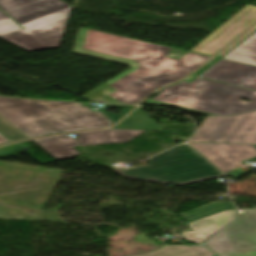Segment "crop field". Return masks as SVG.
<instances>
[{
	"label": "crop field",
	"instance_id": "crop-field-3",
	"mask_svg": "<svg viewBox=\"0 0 256 256\" xmlns=\"http://www.w3.org/2000/svg\"><path fill=\"white\" fill-rule=\"evenodd\" d=\"M0 114L29 138L112 125L101 112L60 101L0 97Z\"/></svg>",
	"mask_w": 256,
	"mask_h": 256
},
{
	"label": "crop field",
	"instance_id": "crop-field-16",
	"mask_svg": "<svg viewBox=\"0 0 256 256\" xmlns=\"http://www.w3.org/2000/svg\"><path fill=\"white\" fill-rule=\"evenodd\" d=\"M0 132L13 141L28 139L21 131L0 115Z\"/></svg>",
	"mask_w": 256,
	"mask_h": 256
},
{
	"label": "crop field",
	"instance_id": "crop-field-23",
	"mask_svg": "<svg viewBox=\"0 0 256 256\" xmlns=\"http://www.w3.org/2000/svg\"><path fill=\"white\" fill-rule=\"evenodd\" d=\"M10 141H8L6 138H4L2 135H0V144H4V143H9Z\"/></svg>",
	"mask_w": 256,
	"mask_h": 256
},
{
	"label": "crop field",
	"instance_id": "crop-field-18",
	"mask_svg": "<svg viewBox=\"0 0 256 256\" xmlns=\"http://www.w3.org/2000/svg\"><path fill=\"white\" fill-rule=\"evenodd\" d=\"M256 31V27H254L252 30H250L248 33H246L244 36H242L239 40H237L235 43H233L230 47H228L225 51H223L221 54H219L220 56H223L224 54H226L229 50H231L234 46H236L239 42H241L243 39H245L246 37H248L249 35H251L252 33H254Z\"/></svg>",
	"mask_w": 256,
	"mask_h": 256
},
{
	"label": "crop field",
	"instance_id": "crop-field-12",
	"mask_svg": "<svg viewBox=\"0 0 256 256\" xmlns=\"http://www.w3.org/2000/svg\"><path fill=\"white\" fill-rule=\"evenodd\" d=\"M236 210H228L207 218H203L188 223L193 231L182 233L188 241L202 243L210 235L232 222L235 218Z\"/></svg>",
	"mask_w": 256,
	"mask_h": 256
},
{
	"label": "crop field",
	"instance_id": "crop-field-9",
	"mask_svg": "<svg viewBox=\"0 0 256 256\" xmlns=\"http://www.w3.org/2000/svg\"><path fill=\"white\" fill-rule=\"evenodd\" d=\"M256 22V7L246 6L196 45L191 52L212 56Z\"/></svg>",
	"mask_w": 256,
	"mask_h": 256
},
{
	"label": "crop field",
	"instance_id": "crop-field-11",
	"mask_svg": "<svg viewBox=\"0 0 256 256\" xmlns=\"http://www.w3.org/2000/svg\"><path fill=\"white\" fill-rule=\"evenodd\" d=\"M199 77L256 90V67L220 59Z\"/></svg>",
	"mask_w": 256,
	"mask_h": 256
},
{
	"label": "crop field",
	"instance_id": "crop-field-10",
	"mask_svg": "<svg viewBox=\"0 0 256 256\" xmlns=\"http://www.w3.org/2000/svg\"><path fill=\"white\" fill-rule=\"evenodd\" d=\"M190 146L222 172L242 165L241 161L246 159L256 161V145L202 143Z\"/></svg>",
	"mask_w": 256,
	"mask_h": 256
},
{
	"label": "crop field",
	"instance_id": "crop-field-20",
	"mask_svg": "<svg viewBox=\"0 0 256 256\" xmlns=\"http://www.w3.org/2000/svg\"><path fill=\"white\" fill-rule=\"evenodd\" d=\"M216 60H218V58L213 59L211 62H209L208 64H206L204 67H202L198 72L194 73L193 75L189 76L188 78H186L185 80H189L191 81L195 76H197L199 73H201L203 70H205L207 67H209L212 63H214Z\"/></svg>",
	"mask_w": 256,
	"mask_h": 256
},
{
	"label": "crop field",
	"instance_id": "crop-field-14",
	"mask_svg": "<svg viewBox=\"0 0 256 256\" xmlns=\"http://www.w3.org/2000/svg\"><path fill=\"white\" fill-rule=\"evenodd\" d=\"M223 58L256 66V33Z\"/></svg>",
	"mask_w": 256,
	"mask_h": 256
},
{
	"label": "crop field",
	"instance_id": "crop-field-21",
	"mask_svg": "<svg viewBox=\"0 0 256 256\" xmlns=\"http://www.w3.org/2000/svg\"><path fill=\"white\" fill-rule=\"evenodd\" d=\"M227 175H229V176H231V177H234V178H236V179H238L240 176H242V174H240V173H238V172H236V171H233V172H231V173H229V174H227Z\"/></svg>",
	"mask_w": 256,
	"mask_h": 256
},
{
	"label": "crop field",
	"instance_id": "crop-field-13",
	"mask_svg": "<svg viewBox=\"0 0 256 256\" xmlns=\"http://www.w3.org/2000/svg\"><path fill=\"white\" fill-rule=\"evenodd\" d=\"M137 256H215V254L204 246L165 245L154 252Z\"/></svg>",
	"mask_w": 256,
	"mask_h": 256
},
{
	"label": "crop field",
	"instance_id": "crop-field-6",
	"mask_svg": "<svg viewBox=\"0 0 256 256\" xmlns=\"http://www.w3.org/2000/svg\"><path fill=\"white\" fill-rule=\"evenodd\" d=\"M189 142L256 144V111L233 116H208Z\"/></svg>",
	"mask_w": 256,
	"mask_h": 256
},
{
	"label": "crop field",
	"instance_id": "crop-field-22",
	"mask_svg": "<svg viewBox=\"0 0 256 256\" xmlns=\"http://www.w3.org/2000/svg\"><path fill=\"white\" fill-rule=\"evenodd\" d=\"M221 256H256V253H251V254H234V255H221Z\"/></svg>",
	"mask_w": 256,
	"mask_h": 256
},
{
	"label": "crop field",
	"instance_id": "crop-field-15",
	"mask_svg": "<svg viewBox=\"0 0 256 256\" xmlns=\"http://www.w3.org/2000/svg\"><path fill=\"white\" fill-rule=\"evenodd\" d=\"M115 128L163 130L140 107Z\"/></svg>",
	"mask_w": 256,
	"mask_h": 256
},
{
	"label": "crop field",
	"instance_id": "crop-field-5",
	"mask_svg": "<svg viewBox=\"0 0 256 256\" xmlns=\"http://www.w3.org/2000/svg\"><path fill=\"white\" fill-rule=\"evenodd\" d=\"M118 173L126 178L178 186L224 177L187 145L149 159L148 166Z\"/></svg>",
	"mask_w": 256,
	"mask_h": 256
},
{
	"label": "crop field",
	"instance_id": "crop-field-4",
	"mask_svg": "<svg viewBox=\"0 0 256 256\" xmlns=\"http://www.w3.org/2000/svg\"><path fill=\"white\" fill-rule=\"evenodd\" d=\"M240 98L252 100L251 103ZM147 104L179 107L183 111L206 115H233L256 110V91L197 77L163 89Z\"/></svg>",
	"mask_w": 256,
	"mask_h": 256
},
{
	"label": "crop field",
	"instance_id": "crop-field-7",
	"mask_svg": "<svg viewBox=\"0 0 256 256\" xmlns=\"http://www.w3.org/2000/svg\"><path fill=\"white\" fill-rule=\"evenodd\" d=\"M144 130L110 129L77 133L78 138L67 135L34 140L58 160L80 155L73 147L107 143H124L132 140Z\"/></svg>",
	"mask_w": 256,
	"mask_h": 256
},
{
	"label": "crop field",
	"instance_id": "crop-field-17",
	"mask_svg": "<svg viewBox=\"0 0 256 256\" xmlns=\"http://www.w3.org/2000/svg\"><path fill=\"white\" fill-rule=\"evenodd\" d=\"M106 107L124 108L119 115H115L114 113H108V112L105 113L114 123H116L124 115H126L130 110H132L135 106L107 105Z\"/></svg>",
	"mask_w": 256,
	"mask_h": 256
},
{
	"label": "crop field",
	"instance_id": "crop-field-2",
	"mask_svg": "<svg viewBox=\"0 0 256 256\" xmlns=\"http://www.w3.org/2000/svg\"><path fill=\"white\" fill-rule=\"evenodd\" d=\"M0 38L28 51L58 48L71 8L62 0H0Z\"/></svg>",
	"mask_w": 256,
	"mask_h": 256
},
{
	"label": "crop field",
	"instance_id": "crop-field-1",
	"mask_svg": "<svg viewBox=\"0 0 256 256\" xmlns=\"http://www.w3.org/2000/svg\"><path fill=\"white\" fill-rule=\"evenodd\" d=\"M169 50V47L80 27L72 53L128 66L129 70L106 84L117 90L109 96L136 104L157 88L179 80L210 59L188 53L176 61L166 58Z\"/></svg>",
	"mask_w": 256,
	"mask_h": 256
},
{
	"label": "crop field",
	"instance_id": "crop-field-19",
	"mask_svg": "<svg viewBox=\"0 0 256 256\" xmlns=\"http://www.w3.org/2000/svg\"><path fill=\"white\" fill-rule=\"evenodd\" d=\"M17 151H21V150L14 145L2 147L0 148V156L17 152Z\"/></svg>",
	"mask_w": 256,
	"mask_h": 256
},
{
	"label": "crop field",
	"instance_id": "crop-field-8",
	"mask_svg": "<svg viewBox=\"0 0 256 256\" xmlns=\"http://www.w3.org/2000/svg\"><path fill=\"white\" fill-rule=\"evenodd\" d=\"M205 245L217 254L256 251V209L239 210L236 221Z\"/></svg>",
	"mask_w": 256,
	"mask_h": 256
}]
</instances>
